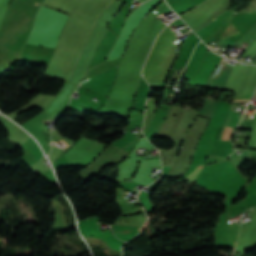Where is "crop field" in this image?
<instances>
[{
  "label": "crop field",
  "instance_id": "crop-field-1",
  "mask_svg": "<svg viewBox=\"0 0 256 256\" xmlns=\"http://www.w3.org/2000/svg\"><path fill=\"white\" fill-rule=\"evenodd\" d=\"M230 133H231V128L226 127L225 130H224V133H223L222 140H229Z\"/></svg>",
  "mask_w": 256,
  "mask_h": 256
},
{
  "label": "crop field",
  "instance_id": "crop-field-2",
  "mask_svg": "<svg viewBox=\"0 0 256 256\" xmlns=\"http://www.w3.org/2000/svg\"><path fill=\"white\" fill-rule=\"evenodd\" d=\"M242 101H246V100H242ZM235 102H241V101H235Z\"/></svg>",
  "mask_w": 256,
  "mask_h": 256
}]
</instances>
